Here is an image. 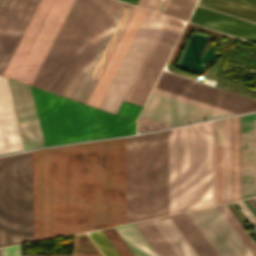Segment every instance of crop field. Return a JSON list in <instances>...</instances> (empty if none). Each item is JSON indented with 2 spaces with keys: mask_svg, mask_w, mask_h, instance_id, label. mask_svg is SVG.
Wrapping results in <instances>:
<instances>
[{
  "mask_svg": "<svg viewBox=\"0 0 256 256\" xmlns=\"http://www.w3.org/2000/svg\"><path fill=\"white\" fill-rule=\"evenodd\" d=\"M22 149L5 78L0 77V154Z\"/></svg>",
  "mask_w": 256,
  "mask_h": 256,
  "instance_id": "20",
  "label": "crop field"
},
{
  "mask_svg": "<svg viewBox=\"0 0 256 256\" xmlns=\"http://www.w3.org/2000/svg\"><path fill=\"white\" fill-rule=\"evenodd\" d=\"M80 0H75L32 86L36 87ZM111 0H81L37 87L63 96Z\"/></svg>",
  "mask_w": 256,
  "mask_h": 256,
  "instance_id": "4",
  "label": "crop field"
},
{
  "mask_svg": "<svg viewBox=\"0 0 256 256\" xmlns=\"http://www.w3.org/2000/svg\"><path fill=\"white\" fill-rule=\"evenodd\" d=\"M197 0H170L164 13L187 20Z\"/></svg>",
  "mask_w": 256,
  "mask_h": 256,
  "instance_id": "26",
  "label": "crop field"
},
{
  "mask_svg": "<svg viewBox=\"0 0 256 256\" xmlns=\"http://www.w3.org/2000/svg\"><path fill=\"white\" fill-rule=\"evenodd\" d=\"M222 116L151 93L141 117L170 126Z\"/></svg>",
  "mask_w": 256,
  "mask_h": 256,
  "instance_id": "14",
  "label": "crop field"
},
{
  "mask_svg": "<svg viewBox=\"0 0 256 256\" xmlns=\"http://www.w3.org/2000/svg\"><path fill=\"white\" fill-rule=\"evenodd\" d=\"M115 229L135 256H176L150 220Z\"/></svg>",
  "mask_w": 256,
  "mask_h": 256,
  "instance_id": "16",
  "label": "crop field"
},
{
  "mask_svg": "<svg viewBox=\"0 0 256 256\" xmlns=\"http://www.w3.org/2000/svg\"><path fill=\"white\" fill-rule=\"evenodd\" d=\"M184 214L216 256H230L196 210ZM184 214L151 221L178 256H215Z\"/></svg>",
  "mask_w": 256,
  "mask_h": 256,
  "instance_id": "8",
  "label": "crop field"
},
{
  "mask_svg": "<svg viewBox=\"0 0 256 256\" xmlns=\"http://www.w3.org/2000/svg\"><path fill=\"white\" fill-rule=\"evenodd\" d=\"M85 107L93 139L107 137L100 110L86 105Z\"/></svg>",
  "mask_w": 256,
  "mask_h": 256,
  "instance_id": "27",
  "label": "crop field"
},
{
  "mask_svg": "<svg viewBox=\"0 0 256 256\" xmlns=\"http://www.w3.org/2000/svg\"><path fill=\"white\" fill-rule=\"evenodd\" d=\"M88 231L125 223L124 138L87 143ZM86 143L33 152L34 241L87 231ZM33 241L32 152L0 157V247Z\"/></svg>",
  "mask_w": 256,
  "mask_h": 256,
  "instance_id": "1",
  "label": "crop field"
},
{
  "mask_svg": "<svg viewBox=\"0 0 256 256\" xmlns=\"http://www.w3.org/2000/svg\"><path fill=\"white\" fill-rule=\"evenodd\" d=\"M153 93L163 95V96H166V97L178 100V101H182V102L194 105V106H198V107H201V108L213 111V112H217V113H220V114H223V115L235 114L234 112H230V111H227V110H224V109H221V108H217V107L205 104V103H201V102H198V101H195V100H192V99H188V98H185V97H182V96H179V95H175V94H172V93H169V92H166V91H163V90H159V89H156V88H154Z\"/></svg>",
  "mask_w": 256,
  "mask_h": 256,
  "instance_id": "28",
  "label": "crop field"
},
{
  "mask_svg": "<svg viewBox=\"0 0 256 256\" xmlns=\"http://www.w3.org/2000/svg\"><path fill=\"white\" fill-rule=\"evenodd\" d=\"M165 15L148 11L100 109L117 114Z\"/></svg>",
  "mask_w": 256,
  "mask_h": 256,
  "instance_id": "10",
  "label": "crop field"
},
{
  "mask_svg": "<svg viewBox=\"0 0 256 256\" xmlns=\"http://www.w3.org/2000/svg\"><path fill=\"white\" fill-rule=\"evenodd\" d=\"M21 245L3 248V256H20Z\"/></svg>",
  "mask_w": 256,
  "mask_h": 256,
  "instance_id": "36",
  "label": "crop field"
},
{
  "mask_svg": "<svg viewBox=\"0 0 256 256\" xmlns=\"http://www.w3.org/2000/svg\"><path fill=\"white\" fill-rule=\"evenodd\" d=\"M147 10L135 7L112 55L110 56L87 105L99 108L122 60L124 59Z\"/></svg>",
  "mask_w": 256,
  "mask_h": 256,
  "instance_id": "15",
  "label": "crop field"
},
{
  "mask_svg": "<svg viewBox=\"0 0 256 256\" xmlns=\"http://www.w3.org/2000/svg\"><path fill=\"white\" fill-rule=\"evenodd\" d=\"M39 0H0V74L17 46Z\"/></svg>",
  "mask_w": 256,
  "mask_h": 256,
  "instance_id": "12",
  "label": "crop field"
},
{
  "mask_svg": "<svg viewBox=\"0 0 256 256\" xmlns=\"http://www.w3.org/2000/svg\"><path fill=\"white\" fill-rule=\"evenodd\" d=\"M0 256H2V248H0Z\"/></svg>",
  "mask_w": 256,
  "mask_h": 256,
  "instance_id": "38",
  "label": "crop field"
},
{
  "mask_svg": "<svg viewBox=\"0 0 256 256\" xmlns=\"http://www.w3.org/2000/svg\"><path fill=\"white\" fill-rule=\"evenodd\" d=\"M140 110H141V107H138L136 105H133L124 101L118 112V115L136 120Z\"/></svg>",
  "mask_w": 256,
  "mask_h": 256,
  "instance_id": "32",
  "label": "crop field"
},
{
  "mask_svg": "<svg viewBox=\"0 0 256 256\" xmlns=\"http://www.w3.org/2000/svg\"><path fill=\"white\" fill-rule=\"evenodd\" d=\"M256 8V0H233ZM229 0H199L190 22L256 42V9Z\"/></svg>",
  "mask_w": 256,
  "mask_h": 256,
  "instance_id": "9",
  "label": "crop field"
},
{
  "mask_svg": "<svg viewBox=\"0 0 256 256\" xmlns=\"http://www.w3.org/2000/svg\"><path fill=\"white\" fill-rule=\"evenodd\" d=\"M31 88L45 146L92 139L83 104Z\"/></svg>",
  "mask_w": 256,
  "mask_h": 256,
  "instance_id": "7",
  "label": "crop field"
},
{
  "mask_svg": "<svg viewBox=\"0 0 256 256\" xmlns=\"http://www.w3.org/2000/svg\"><path fill=\"white\" fill-rule=\"evenodd\" d=\"M236 203L243 211V213L246 215V217L249 219V221L252 223V225L256 228V217L253 215V213L250 211V209L247 207L244 201L240 200L236 201Z\"/></svg>",
  "mask_w": 256,
  "mask_h": 256,
  "instance_id": "35",
  "label": "crop field"
},
{
  "mask_svg": "<svg viewBox=\"0 0 256 256\" xmlns=\"http://www.w3.org/2000/svg\"><path fill=\"white\" fill-rule=\"evenodd\" d=\"M224 202L231 200L230 117L223 119Z\"/></svg>",
  "mask_w": 256,
  "mask_h": 256,
  "instance_id": "23",
  "label": "crop field"
},
{
  "mask_svg": "<svg viewBox=\"0 0 256 256\" xmlns=\"http://www.w3.org/2000/svg\"><path fill=\"white\" fill-rule=\"evenodd\" d=\"M165 127H169V126L163 125V124L151 121V120H147V119H144L141 117L138 120V131H140V132L165 128Z\"/></svg>",
  "mask_w": 256,
  "mask_h": 256,
  "instance_id": "33",
  "label": "crop field"
},
{
  "mask_svg": "<svg viewBox=\"0 0 256 256\" xmlns=\"http://www.w3.org/2000/svg\"><path fill=\"white\" fill-rule=\"evenodd\" d=\"M218 209L233 227V229L237 232L249 250L256 256V243L252 240V238L248 235L245 229L241 226V224L237 221L234 215L230 212V210L226 207L225 204L218 205Z\"/></svg>",
  "mask_w": 256,
  "mask_h": 256,
  "instance_id": "25",
  "label": "crop field"
},
{
  "mask_svg": "<svg viewBox=\"0 0 256 256\" xmlns=\"http://www.w3.org/2000/svg\"><path fill=\"white\" fill-rule=\"evenodd\" d=\"M8 83L25 150L44 146L30 86L9 79Z\"/></svg>",
  "mask_w": 256,
  "mask_h": 256,
  "instance_id": "17",
  "label": "crop field"
},
{
  "mask_svg": "<svg viewBox=\"0 0 256 256\" xmlns=\"http://www.w3.org/2000/svg\"><path fill=\"white\" fill-rule=\"evenodd\" d=\"M182 27L180 20L170 18L129 102L143 107Z\"/></svg>",
  "mask_w": 256,
  "mask_h": 256,
  "instance_id": "13",
  "label": "crop field"
},
{
  "mask_svg": "<svg viewBox=\"0 0 256 256\" xmlns=\"http://www.w3.org/2000/svg\"><path fill=\"white\" fill-rule=\"evenodd\" d=\"M147 218L168 214L167 130L146 134ZM145 134L125 138L126 223L146 218Z\"/></svg>",
  "mask_w": 256,
  "mask_h": 256,
  "instance_id": "3",
  "label": "crop field"
},
{
  "mask_svg": "<svg viewBox=\"0 0 256 256\" xmlns=\"http://www.w3.org/2000/svg\"><path fill=\"white\" fill-rule=\"evenodd\" d=\"M242 198L256 195V113L240 116Z\"/></svg>",
  "mask_w": 256,
  "mask_h": 256,
  "instance_id": "18",
  "label": "crop field"
},
{
  "mask_svg": "<svg viewBox=\"0 0 256 256\" xmlns=\"http://www.w3.org/2000/svg\"><path fill=\"white\" fill-rule=\"evenodd\" d=\"M244 201L248 205V207L251 209V211L254 213V215L256 216V197L250 198V199H245Z\"/></svg>",
  "mask_w": 256,
  "mask_h": 256,
  "instance_id": "37",
  "label": "crop field"
},
{
  "mask_svg": "<svg viewBox=\"0 0 256 256\" xmlns=\"http://www.w3.org/2000/svg\"><path fill=\"white\" fill-rule=\"evenodd\" d=\"M197 211L231 256H253L216 206Z\"/></svg>",
  "mask_w": 256,
  "mask_h": 256,
  "instance_id": "19",
  "label": "crop field"
},
{
  "mask_svg": "<svg viewBox=\"0 0 256 256\" xmlns=\"http://www.w3.org/2000/svg\"><path fill=\"white\" fill-rule=\"evenodd\" d=\"M215 150L222 149V119L214 120ZM223 202L222 150L215 151V204Z\"/></svg>",
  "mask_w": 256,
  "mask_h": 256,
  "instance_id": "22",
  "label": "crop field"
},
{
  "mask_svg": "<svg viewBox=\"0 0 256 256\" xmlns=\"http://www.w3.org/2000/svg\"><path fill=\"white\" fill-rule=\"evenodd\" d=\"M169 214L214 204L213 120L168 130Z\"/></svg>",
  "mask_w": 256,
  "mask_h": 256,
  "instance_id": "2",
  "label": "crop field"
},
{
  "mask_svg": "<svg viewBox=\"0 0 256 256\" xmlns=\"http://www.w3.org/2000/svg\"><path fill=\"white\" fill-rule=\"evenodd\" d=\"M155 87L237 113L256 110V100L164 71Z\"/></svg>",
  "mask_w": 256,
  "mask_h": 256,
  "instance_id": "11",
  "label": "crop field"
},
{
  "mask_svg": "<svg viewBox=\"0 0 256 256\" xmlns=\"http://www.w3.org/2000/svg\"><path fill=\"white\" fill-rule=\"evenodd\" d=\"M105 256H120L101 230L88 233Z\"/></svg>",
  "mask_w": 256,
  "mask_h": 256,
  "instance_id": "29",
  "label": "crop field"
},
{
  "mask_svg": "<svg viewBox=\"0 0 256 256\" xmlns=\"http://www.w3.org/2000/svg\"><path fill=\"white\" fill-rule=\"evenodd\" d=\"M168 20H169V17L166 16V18H165V20H164V22H163V24H162V26H161L157 36H156V38H155V40H154V42H153L149 52H148V54H147V56H146V58H145V60H144V62L142 64V66H141V68H140V70H139V72H138V74H137V76H136V78H135V80H134V82H133V84H132V86H131L128 94H127V96H126V98H125L126 101H128V99H129V97H130V95H131V93H132V91H133V89H134V87H135V85H136V83H137V81H138V79H139V77H140V75H141V73H142L146 63H147V61H148V59L150 58V56H151V54H152V52H153V50H154V48H155V46L157 44V42H158L162 32H163V30H164Z\"/></svg>",
  "mask_w": 256,
  "mask_h": 256,
  "instance_id": "31",
  "label": "crop field"
},
{
  "mask_svg": "<svg viewBox=\"0 0 256 256\" xmlns=\"http://www.w3.org/2000/svg\"><path fill=\"white\" fill-rule=\"evenodd\" d=\"M169 0H165V3L161 9V13H163L167 3H168ZM160 0H140L139 3H138V6H142V7H145V8H148V9H152V10H156L160 4Z\"/></svg>",
  "mask_w": 256,
  "mask_h": 256,
  "instance_id": "34",
  "label": "crop field"
},
{
  "mask_svg": "<svg viewBox=\"0 0 256 256\" xmlns=\"http://www.w3.org/2000/svg\"><path fill=\"white\" fill-rule=\"evenodd\" d=\"M132 8H133L132 5L130 7H127V6L120 4L118 1L112 0L97 32L95 33L81 63L79 64V66H78V68H77L65 94H64V97L68 98L69 96H72V97L80 98V99H82L81 102L85 103V101H86L108 55L110 54Z\"/></svg>",
  "mask_w": 256,
  "mask_h": 256,
  "instance_id": "6",
  "label": "crop field"
},
{
  "mask_svg": "<svg viewBox=\"0 0 256 256\" xmlns=\"http://www.w3.org/2000/svg\"><path fill=\"white\" fill-rule=\"evenodd\" d=\"M232 200L241 198L239 116L231 117Z\"/></svg>",
  "mask_w": 256,
  "mask_h": 256,
  "instance_id": "21",
  "label": "crop field"
},
{
  "mask_svg": "<svg viewBox=\"0 0 256 256\" xmlns=\"http://www.w3.org/2000/svg\"><path fill=\"white\" fill-rule=\"evenodd\" d=\"M102 111V110H101ZM108 137L122 136L135 133V123L102 111Z\"/></svg>",
  "mask_w": 256,
  "mask_h": 256,
  "instance_id": "24",
  "label": "crop field"
},
{
  "mask_svg": "<svg viewBox=\"0 0 256 256\" xmlns=\"http://www.w3.org/2000/svg\"><path fill=\"white\" fill-rule=\"evenodd\" d=\"M121 256H134L114 228L102 230Z\"/></svg>",
  "mask_w": 256,
  "mask_h": 256,
  "instance_id": "30",
  "label": "crop field"
},
{
  "mask_svg": "<svg viewBox=\"0 0 256 256\" xmlns=\"http://www.w3.org/2000/svg\"><path fill=\"white\" fill-rule=\"evenodd\" d=\"M73 0H41L3 76L31 85Z\"/></svg>",
  "mask_w": 256,
  "mask_h": 256,
  "instance_id": "5",
  "label": "crop field"
}]
</instances>
